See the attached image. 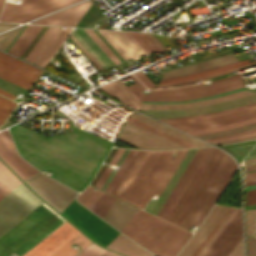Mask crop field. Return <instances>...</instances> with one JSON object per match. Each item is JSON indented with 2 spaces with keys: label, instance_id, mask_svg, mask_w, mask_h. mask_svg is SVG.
Returning a JSON list of instances; mask_svg holds the SVG:
<instances>
[{
  "label": "crop field",
  "instance_id": "obj_19",
  "mask_svg": "<svg viewBox=\"0 0 256 256\" xmlns=\"http://www.w3.org/2000/svg\"><path fill=\"white\" fill-rule=\"evenodd\" d=\"M93 3L88 0L63 11L57 12L45 18H42L33 23L38 24H53V25H67L75 26L84 12L92 5Z\"/></svg>",
  "mask_w": 256,
  "mask_h": 256
},
{
  "label": "crop field",
  "instance_id": "obj_28",
  "mask_svg": "<svg viewBox=\"0 0 256 256\" xmlns=\"http://www.w3.org/2000/svg\"><path fill=\"white\" fill-rule=\"evenodd\" d=\"M255 62L256 61L249 62V59H247V60H243V61H240V62L228 64V65H225V66L217 67V68H214V69L202 71V72L187 75V76H181V77L171 78V79H167V80H162V81H159L157 85L179 82V81H185V80L194 79V78H199V77L215 74V73H218V72H222V71H225V70H229V69H232V68L252 64V63H255Z\"/></svg>",
  "mask_w": 256,
  "mask_h": 256
},
{
  "label": "crop field",
  "instance_id": "obj_54",
  "mask_svg": "<svg viewBox=\"0 0 256 256\" xmlns=\"http://www.w3.org/2000/svg\"><path fill=\"white\" fill-rule=\"evenodd\" d=\"M123 151L124 149L118 148L117 152L115 153L112 160L110 161V164H115V162L117 161V159L119 158V156L122 154Z\"/></svg>",
  "mask_w": 256,
  "mask_h": 256
},
{
  "label": "crop field",
  "instance_id": "obj_40",
  "mask_svg": "<svg viewBox=\"0 0 256 256\" xmlns=\"http://www.w3.org/2000/svg\"><path fill=\"white\" fill-rule=\"evenodd\" d=\"M105 251H107V249L101 248L93 242L76 256H100Z\"/></svg>",
  "mask_w": 256,
  "mask_h": 256
},
{
  "label": "crop field",
  "instance_id": "obj_15",
  "mask_svg": "<svg viewBox=\"0 0 256 256\" xmlns=\"http://www.w3.org/2000/svg\"><path fill=\"white\" fill-rule=\"evenodd\" d=\"M241 232L242 225L239 209L203 256H227L241 238Z\"/></svg>",
  "mask_w": 256,
  "mask_h": 256
},
{
  "label": "crop field",
  "instance_id": "obj_48",
  "mask_svg": "<svg viewBox=\"0 0 256 256\" xmlns=\"http://www.w3.org/2000/svg\"><path fill=\"white\" fill-rule=\"evenodd\" d=\"M256 204V190L246 192V206Z\"/></svg>",
  "mask_w": 256,
  "mask_h": 256
},
{
  "label": "crop field",
  "instance_id": "obj_57",
  "mask_svg": "<svg viewBox=\"0 0 256 256\" xmlns=\"http://www.w3.org/2000/svg\"><path fill=\"white\" fill-rule=\"evenodd\" d=\"M251 139H256V136L247 137V138H242V139L233 140V141L222 142V143H216V144L231 143V142H239V141H245V140H251Z\"/></svg>",
  "mask_w": 256,
  "mask_h": 256
},
{
  "label": "crop field",
  "instance_id": "obj_49",
  "mask_svg": "<svg viewBox=\"0 0 256 256\" xmlns=\"http://www.w3.org/2000/svg\"><path fill=\"white\" fill-rule=\"evenodd\" d=\"M244 89H246V88L244 87V88H240V89H236V90H232V91H228V92H224V93H220V94H215V95H211V96H207V97H202V98L183 100V101H173V102H184V101H191V100L207 99V98H211V97H214V96H218V95H222V94H226V93H231V92H235V91H240V90H244ZM173 102H154V103H173Z\"/></svg>",
  "mask_w": 256,
  "mask_h": 256
},
{
  "label": "crop field",
  "instance_id": "obj_59",
  "mask_svg": "<svg viewBox=\"0 0 256 256\" xmlns=\"http://www.w3.org/2000/svg\"><path fill=\"white\" fill-rule=\"evenodd\" d=\"M102 256H121V255H119V254H117V253H114V252L108 250V251L105 252Z\"/></svg>",
  "mask_w": 256,
  "mask_h": 256
},
{
  "label": "crop field",
  "instance_id": "obj_3",
  "mask_svg": "<svg viewBox=\"0 0 256 256\" xmlns=\"http://www.w3.org/2000/svg\"><path fill=\"white\" fill-rule=\"evenodd\" d=\"M186 231L139 209L121 232L158 256H175L192 234Z\"/></svg>",
  "mask_w": 256,
  "mask_h": 256
},
{
  "label": "crop field",
  "instance_id": "obj_17",
  "mask_svg": "<svg viewBox=\"0 0 256 256\" xmlns=\"http://www.w3.org/2000/svg\"><path fill=\"white\" fill-rule=\"evenodd\" d=\"M98 31L124 60L130 57L133 59H138V55L141 54L147 56V52L137 43L129 32L105 30Z\"/></svg>",
  "mask_w": 256,
  "mask_h": 256
},
{
  "label": "crop field",
  "instance_id": "obj_9",
  "mask_svg": "<svg viewBox=\"0 0 256 256\" xmlns=\"http://www.w3.org/2000/svg\"><path fill=\"white\" fill-rule=\"evenodd\" d=\"M92 242L66 221L24 256H73L78 252L70 247L73 243L82 250Z\"/></svg>",
  "mask_w": 256,
  "mask_h": 256
},
{
  "label": "crop field",
  "instance_id": "obj_13",
  "mask_svg": "<svg viewBox=\"0 0 256 256\" xmlns=\"http://www.w3.org/2000/svg\"><path fill=\"white\" fill-rule=\"evenodd\" d=\"M60 28L49 26L25 60L44 66L72 31V28Z\"/></svg>",
  "mask_w": 256,
  "mask_h": 256
},
{
  "label": "crop field",
  "instance_id": "obj_35",
  "mask_svg": "<svg viewBox=\"0 0 256 256\" xmlns=\"http://www.w3.org/2000/svg\"><path fill=\"white\" fill-rule=\"evenodd\" d=\"M89 36L100 46V48L111 58V60L117 65L121 62L117 56L108 48V46L100 39V37L94 32L93 29H84Z\"/></svg>",
  "mask_w": 256,
  "mask_h": 256
},
{
  "label": "crop field",
  "instance_id": "obj_47",
  "mask_svg": "<svg viewBox=\"0 0 256 256\" xmlns=\"http://www.w3.org/2000/svg\"><path fill=\"white\" fill-rule=\"evenodd\" d=\"M228 256H243L242 238Z\"/></svg>",
  "mask_w": 256,
  "mask_h": 256
},
{
  "label": "crop field",
  "instance_id": "obj_5",
  "mask_svg": "<svg viewBox=\"0 0 256 256\" xmlns=\"http://www.w3.org/2000/svg\"><path fill=\"white\" fill-rule=\"evenodd\" d=\"M42 202L0 162V236Z\"/></svg>",
  "mask_w": 256,
  "mask_h": 256
},
{
  "label": "crop field",
  "instance_id": "obj_31",
  "mask_svg": "<svg viewBox=\"0 0 256 256\" xmlns=\"http://www.w3.org/2000/svg\"><path fill=\"white\" fill-rule=\"evenodd\" d=\"M115 200L116 198L103 193L90 210L102 218L107 210L111 207V205L115 202Z\"/></svg>",
  "mask_w": 256,
  "mask_h": 256
},
{
  "label": "crop field",
  "instance_id": "obj_51",
  "mask_svg": "<svg viewBox=\"0 0 256 256\" xmlns=\"http://www.w3.org/2000/svg\"><path fill=\"white\" fill-rule=\"evenodd\" d=\"M149 39L161 50H165V48L160 44V42L155 38V36L153 34H148V33H145Z\"/></svg>",
  "mask_w": 256,
  "mask_h": 256
},
{
  "label": "crop field",
  "instance_id": "obj_29",
  "mask_svg": "<svg viewBox=\"0 0 256 256\" xmlns=\"http://www.w3.org/2000/svg\"><path fill=\"white\" fill-rule=\"evenodd\" d=\"M41 26L35 25H27L12 47L9 49L8 53L19 57L37 31L40 29Z\"/></svg>",
  "mask_w": 256,
  "mask_h": 256
},
{
  "label": "crop field",
  "instance_id": "obj_26",
  "mask_svg": "<svg viewBox=\"0 0 256 256\" xmlns=\"http://www.w3.org/2000/svg\"><path fill=\"white\" fill-rule=\"evenodd\" d=\"M107 247L119 253L130 256H154L138 244L134 243L133 241L122 235L121 233L114 240H112L107 245Z\"/></svg>",
  "mask_w": 256,
  "mask_h": 256
},
{
  "label": "crop field",
  "instance_id": "obj_69",
  "mask_svg": "<svg viewBox=\"0 0 256 256\" xmlns=\"http://www.w3.org/2000/svg\"><path fill=\"white\" fill-rule=\"evenodd\" d=\"M255 235H256V233H255Z\"/></svg>",
  "mask_w": 256,
  "mask_h": 256
},
{
  "label": "crop field",
  "instance_id": "obj_25",
  "mask_svg": "<svg viewBox=\"0 0 256 256\" xmlns=\"http://www.w3.org/2000/svg\"><path fill=\"white\" fill-rule=\"evenodd\" d=\"M187 149H182V150H176L175 157H171L170 161L166 165L165 169L161 173L160 177L154 184L153 188L149 192L148 196L144 200L143 204L141 205V208H144L146 203L149 201V198L153 193H156L160 195L161 191L165 187L166 183L168 182L169 178L173 174L174 170L178 166L179 162L181 161L182 157L186 153Z\"/></svg>",
  "mask_w": 256,
  "mask_h": 256
},
{
  "label": "crop field",
  "instance_id": "obj_63",
  "mask_svg": "<svg viewBox=\"0 0 256 256\" xmlns=\"http://www.w3.org/2000/svg\"><path fill=\"white\" fill-rule=\"evenodd\" d=\"M251 162H256V159H249L244 161L245 164L251 163Z\"/></svg>",
  "mask_w": 256,
  "mask_h": 256
},
{
  "label": "crop field",
  "instance_id": "obj_2",
  "mask_svg": "<svg viewBox=\"0 0 256 256\" xmlns=\"http://www.w3.org/2000/svg\"><path fill=\"white\" fill-rule=\"evenodd\" d=\"M224 152L198 148L158 216L179 225Z\"/></svg>",
  "mask_w": 256,
  "mask_h": 256
},
{
  "label": "crop field",
  "instance_id": "obj_50",
  "mask_svg": "<svg viewBox=\"0 0 256 256\" xmlns=\"http://www.w3.org/2000/svg\"><path fill=\"white\" fill-rule=\"evenodd\" d=\"M111 168L107 167V169L105 170V172L103 173L102 177L100 178V180L98 181V183L96 184L95 187L99 188L102 186V184L104 183L105 179L107 178V176L109 175V173L111 172Z\"/></svg>",
  "mask_w": 256,
  "mask_h": 256
},
{
  "label": "crop field",
  "instance_id": "obj_21",
  "mask_svg": "<svg viewBox=\"0 0 256 256\" xmlns=\"http://www.w3.org/2000/svg\"><path fill=\"white\" fill-rule=\"evenodd\" d=\"M137 210L138 208L117 199L102 219L121 231Z\"/></svg>",
  "mask_w": 256,
  "mask_h": 256
},
{
  "label": "crop field",
  "instance_id": "obj_34",
  "mask_svg": "<svg viewBox=\"0 0 256 256\" xmlns=\"http://www.w3.org/2000/svg\"><path fill=\"white\" fill-rule=\"evenodd\" d=\"M128 121H130V122H132V123H134V124H136L138 126H141V127L145 128V129H147L149 131H152V132H154V133H156V134H158V135H160L162 137H165V138H167V139H169V140H171L173 142H176V143H178V144H180V145H182V146H184L186 148L195 147V146H193L191 144H188L189 142L186 143V142H184V141H182L180 139H177V138H175V137H173L171 135H168V134H166V133H164V132H162L160 130H157V129L151 127V126H148V125H146V124H144V123H142L140 121H137V120H135V119H133L131 117H129Z\"/></svg>",
  "mask_w": 256,
  "mask_h": 256
},
{
  "label": "crop field",
  "instance_id": "obj_1",
  "mask_svg": "<svg viewBox=\"0 0 256 256\" xmlns=\"http://www.w3.org/2000/svg\"><path fill=\"white\" fill-rule=\"evenodd\" d=\"M16 147L28 162L81 191L102 163L112 142L73 126V132L45 137L19 124L10 128Z\"/></svg>",
  "mask_w": 256,
  "mask_h": 256
},
{
  "label": "crop field",
  "instance_id": "obj_16",
  "mask_svg": "<svg viewBox=\"0 0 256 256\" xmlns=\"http://www.w3.org/2000/svg\"><path fill=\"white\" fill-rule=\"evenodd\" d=\"M0 158L23 180L38 171L17 154L7 130L0 132Z\"/></svg>",
  "mask_w": 256,
  "mask_h": 256
},
{
  "label": "crop field",
  "instance_id": "obj_12",
  "mask_svg": "<svg viewBox=\"0 0 256 256\" xmlns=\"http://www.w3.org/2000/svg\"><path fill=\"white\" fill-rule=\"evenodd\" d=\"M24 182L43 200L58 211H62L77 193L44 176L39 171L24 180Z\"/></svg>",
  "mask_w": 256,
  "mask_h": 256
},
{
  "label": "crop field",
  "instance_id": "obj_55",
  "mask_svg": "<svg viewBox=\"0 0 256 256\" xmlns=\"http://www.w3.org/2000/svg\"><path fill=\"white\" fill-rule=\"evenodd\" d=\"M156 36V38L161 42V44L163 45V46H167V44L169 45V46H171V47H174V45L166 38V37H162L164 40H165V42L167 43H165L164 41H163V39L160 37V36H157V35H155Z\"/></svg>",
  "mask_w": 256,
  "mask_h": 256
},
{
  "label": "crop field",
  "instance_id": "obj_32",
  "mask_svg": "<svg viewBox=\"0 0 256 256\" xmlns=\"http://www.w3.org/2000/svg\"><path fill=\"white\" fill-rule=\"evenodd\" d=\"M254 122H256V117L247 119V120H243V121H239V122H235V123H231V124L208 127V128L192 130V131H187V132L190 134H193V135H197V134H203V133H209V132L219 131V130H223V129L233 128V127H237V126H241V125H245V124H249V123H254Z\"/></svg>",
  "mask_w": 256,
  "mask_h": 256
},
{
  "label": "crop field",
  "instance_id": "obj_58",
  "mask_svg": "<svg viewBox=\"0 0 256 256\" xmlns=\"http://www.w3.org/2000/svg\"><path fill=\"white\" fill-rule=\"evenodd\" d=\"M246 185L256 184V176L245 178Z\"/></svg>",
  "mask_w": 256,
  "mask_h": 256
},
{
  "label": "crop field",
  "instance_id": "obj_22",
  "mask_svg": "<svg viewBox=\"0 0 256 256\" xmlns=\"http://www.w3.org/2000/svg\"><path fill=\"white\" fill-rule=\"evenodd\" d=\"M236 61L237 60L233 57V55L230 54V55L222 56V57H219V58L211 59V60H208V61L200 62V63H197V64H193V65H190V66H186V67H183V68L168 71V72H165V73H161V74L164 75L162 77V79H167V78L181 76V75H187V74L199 72V71H202V70L210 69V68H213V67L225 65V64H228V63L236 62Z\"/></svg>",
  "mask_w": 256,
  "mask_h": 256
},
{
  "label": "crop field",
  "instance_id": "obj_37",
  "mask_svg": "<svg viewBox=\"0 0 256 256\" xmlns=\"http://www.w3.org/2000/svg\"><path fill=\"white\" fill-rule=\"evenodd\" d=\"M234 71H238V68H237V69L230 70V71L222 72V73H219V74H215V75H211V76L199 78V79H194V80H190V81H185V82L200 81V80L212 78V77H215V76H219V75L225 74V73H227V72L230 73V72H234ZM135 75H136L147 87L152 88V89H153V87H158V86H155L141 71L135 73ZM185 82H179V83H185ZM173 84H178V83H173ZM167 85H172V84H167ZM159 86H166V85H159Z\"/></svg>",
  "mask_w": 256,
  "mask_h": 256
},
{
  "label": "crop field",
  "instance_id": "obj_62",
  "mask_svg": "<svg viewBox=\"0 0 256 256\" xmlns=\"http://www.w3.org/2000/svg\"><path fill=\"white\" fill-rule=\"evenodd\" d=\"M254 175H256V172L245 173V177L254 176Z\"/></svg>",
  "mask_w": 256,
  "mask_h": 256
},
{
  "label": "crop field",
  "instance_id": "obj_39",
  "mask_svg": "<svg viewBox=\"0 0 256 256\" xmlns=\"http://www.w3.org/2000/svg\"><path fill=\"white\" fill-rule=\"evenodd\" d=\"M252 128H256V123L245 125V126H241V127H237V128H233V129H228V130H224V131H219V132H214V133H209V134H204V135H198V137L206 139V138H210V137H215V136L235 133V132H239V131H243V130H248V129H252Z\"/></svg>",
  "mask_w": 256,
  "mask_h": 256
},
{
  "label": "crop field",
  "instance_id": "obj_27",
  "mask_svg": "<svg viewBox=\"0 0 256 256\" xmlns=\"http://www.w3.org/2000/svg\"><path fill=\"white\" fill-rule=\"evenodd\" d=\"M131 117H133V118H135L137 120H140V121H142V122H144V123H146L148 125H151V126L157 128V129H160V130H162V131H164V132H166L168 134H171V135H173V136H175L177 138H180V139H182V140H184L186 142H189V143H191V144H193V145H195L197 147L207 146L208 145V144H206V143H204L202 141H199V140L194 141L195 138L190 137V136H188V135H186V134H184L182 132H179V131L171 128V127H168V126H166V125H164V124H162L160 122H157V121H155V120H153V119H151V118H149L147 116H144V115L137 114V113L133 112Z\"/></svg>",
  "mask_w": 256,
  "mask_h": 256
},
{
  "label": "crop field",
  "instance_id": "obj_44",
  "mask_svg": "<svg viewBox=\"0 0 256 256\" xmlns=\"http://www.w3.org/2000/svg\"><path fill=\"white\" fill-rule=\"evenodd\" d=\"M237 208L234 209V211L230 214V216L225 220V222L221 225V227L217 230V232L213 235V237L208 241V243L204 246V248L200 251V253L197 256H202L204 252L208 249V247L211 245V243L215 240V238L219 235V233L222 231V229L226 226V224L230 221V219L233 217V215L237 212Z\"/></svg>",
  "mask_w": 256,
  "mask_h": 256
},
{
  "label": "crop field",
  "instance_id": "obj_43",
  "mask_svg": "<svg viewBox=\"0 0 256 256\" xmlns=\"http://www.w3.org/2000/svg\"><path fill=\"white\" fill-rule=\"evenodd\" d=\"M233 207H230L229 210L225 213V215L221 218L218 224L214 227V229L210 232V234L206 237V239L202 242V244L198 247V249L194 252L192 256H196L199 251L203 248V246L207 243V241L212 237V235L216 232V230L220 227V225L224 222V220L229 216V214L233 211Z\"/></svg>",
  "mask_w": 256,
  "mask_h": 256
},
{
  "label": "crop field",
  "instance_id": "obj_36",
  "mask_svg": "<svg viewBox=\"0 0 256 256\" xmlns=\"http://www.w3.org/2000/svg\"><path fill=\"white\" fill-rule=\"evenodd\" d=\"M135 152H136V150H131L130 149V151L127 154L126 158L124 159V161L122 162L121 166L119 167V169L115 173L114 177L112 178V180L108 184L107 188L105 189V192L110 193V191L112 190L113 186L115 185V183L119 179L120 175L122 174V172L126 168L127 164L129 163V161L131 160V158L133 157Z\"/></svg>",
  "mask_w": 256,
  "mask_h": 256
},
{
  "label": "crop field",
  "instance_id": "obj_18",
  "mask_svg": "<svg viewBox=\"0 0 256 256\" xmlns=\"http://www.w3.org/2000/svg\"><path fill=\"white\" fill-rule=\"evenodd\" d=\"M229 207L214 205L196 233L177 256H191Z\"/></svg>",
  "mask_w": 256,
  "mask_h": 256
},
{
  "label": "crop field",
  "instance_id": "obj_56",
  "mask_svg": "<svg viewBox=\"0 0 256 256\" xmlns=\"http://www.w3.org/2000/svg\"><path fill=\"white\" fill-rule=\"evenodd\" d=\"M18 24H3V23H0V32L1 31H4V30H7L9 28H12L14 26H17Z\"/></svg>",
  "mask_w": 256,
  "mask_h": 256
},
{
  "label": "crop field",
  "instance_id": "obj_33",
  "mask_svg": "<svg viewBox=\"0 0 256 256\" xmlns=\"http://www.w3.org/2000/svg\"><path fill=\"white\" fill-rule=\"evenodd\" d=\"M92 189L93 187L88 186L77 198V200L80 203H82L84 206H86L89 209L102 193L99 190L94 191Z\"/></svg>",
  "mask_w": 256,
  "mask_h": 256
},
{
  "label": "crop field",
  "instance_id": "obj_6",
  "mask_svg": "<svg viewBox=\"0 0 256 256\" xmlns=\"http://www.w3.org/2000/svg\"><path fill=\"white\" fill-rule=\"evenodd\" d=\"M236 166V162L224 153L179 226L189 230L192 224L199 225L229 181Z\"/></svg>",
  "mask_w": 256,
  "mask_h": 256
},
{
  "label": "crop field",
  "instance_id": "obj_53",
  "mask_svg": "<svg viewBox=\"0 0 256 256\" xmlns=\"http://www.w3.org/2000/svg\"><path fill=\"white\" fill-rule=\"evenodd\" d=\"M252 135H256V132L250 133V134H245V135H240V136H236V137L226 138V139H220V140L210 141V142L215 143V142L233 140V139H238V138L247 137V136H252Z\"/></svg>",
  "mask_w": 256,
  "mask_h": 256
},
{
  "label": "crop field",
  "instance_id": "obj_14",
  "mask_svg": "<svg viewBox=\"0 0 256 256\" xmlns=\"http://www.w3.org/2000/svg\"><path fill=\"white\" fill-rule=\"evenodd\" d=\"M118 139L143 149H182L184 147L162 138L152 132L126 122Z\"/></svg>",
  "mask_w": 256,
  "mask_h": 256
},
{
  "label": "crop field",
  "instance_id": "obj_64",
  "mask_svg": "<svg viewBox=\"0 0 256 256\" xmlns=\"http://www.w3.org/2000/svg\"><path fill=\"white\" fill-rule=\"evenodd\" d=\"M229 75H230V74L222 75V76H219V77L212 78L211 80L218 79V78H222V77H226V76H229Z\"/></svg>",
  "mask_w": 256,
  "mask_h": 256
},
{
  "label": "crop field",
  "instance_id": "obj_4",
  "mask_svg": "<svg viewBox=\"0 0 256 256\" xmlns=\"http://www.w3.org/2000/svg\"><path fill=\"white\" fill-rule=\"evenodd\" d=\"M62 222L40 204L0 237V256H21Z\"/></svg>",
  "mask_w": 256,
  "mask_h": 256
},
{
  "label": "crop field",
  "instance_id": "obj_20",
  "mask_svg": "<svg viewBox=\"0 0 256 256\" xmlns=\"http://www.w3.org/2000/svg\"><path fill=\"white\" fill-rule=\"evenodd\" d=\"M149 153L150 151L137 150L134 157L132 158L127 168L125 169L120 179L111 191V194L122 199L123 195L127 191L128 187L130 186L131 182L138 173Z\"/></svg>",
  "mask_w": 256,
  "mask_h": 256
},
{
  "label": "crop field",
  "instance_id": "obj_66",
  "mask_svg": "<svg viewBox=\"0 0 256 256\" xmlns=\"http://www.w3.org/2000/svg\"><path fill=\"white\" fill-rule=\"evenodd\" d=\"M246 208H248V209H255V208H256V205L248 206V207H246Z\"/></svg>",
  "mask_w": 256,
  "mask_h": 256
},
{
  "label": "crop field",
  "instance_id": "obj_38",
  "mask_svg": "<svg viewBox=\"0 0 256 256\" xmlns=\"http://www.w3.org/2000/svg\"><path fill=\"white\" fill-rule=\"evenodd\" d=\"M134 38L143 46V48L148 52L160 51L144 33L130 32Z\"/></svg>",
  "mask_w": 256,
  "mask_h": 256
},
{
  "label": "crop field",
  "instance_id": "obj_42",
  "mask_svg": "<svg viewBox=\"0 0 256 256\" xmlns=\"http://www.w3.org/2000/svg\"><path fill=\"white\" fill-rule=\"evenodd\" d=\"M17 27L13 30H10L8 32H5L3 34H0V48L5 50V48L8 46V44L11 42V40L13 39V37L16 35V33L19 31V29L21 28Z\"/></svg>",
  "mask_w": 256,
  "mask_h": 256
},
{
  "label": "crop field",
  "instance_id": "obj_67",
  "mask_svg": "<svg viewBox=\"0 0 256 256\" xmlns=\"http://www.w3.org/2000/svg\"><path fill=\"white\" fill-rule=\"evenodd\" d=\"M249 158H256V155L255 156L246 157L245 159H249Z\"/></svg>",
  "mask_w": 256,
  "mask_h": 256
},
{
  "label": "crop field",
  "instance_id": "obj_30",
  "mask_svg": "<svg viewBox=\"0 0 256 256\" xmlns=\"http://www.w3.org/2000/svg\"><path fill=\"white\" fill-rule=\"evenodd\" d=\"M106 94L112 96L113 98L133 107L136 109L138 106L123 90L122 88L114 81L112 83L103 85L99 87Z\"/></svg>",
  "mask_w": 256,
  "mask_h": 256
},
{
  "label": "crop field",
  "instance_id": "obj_24",
  "mask_svg": "<svg viewBox=\"0 0 256 256\" xmlns=\"http://www.w3.org/2000/svg\"><path fill=\"white\" fill-rule=\"evenodd\" d=\"M77 40L88 50V52L99 62L104 70L114 67L115 65L103 53V51L94 43L83 29L76 28L72 33Z\"/></svg>",
  "mask_w": 256,
  "mask_h": 256
},
{
  "label": "crop field",
  "instance_id": "obj_23",
  "mask_svg": "<svg viewBox=\"0 0 256 256\" xmlns=\"http://www.w3.org/2000/svg\"><path fill=\"white\" fill-rule=\"evenodd\" d=\"M122 88L133 98V100L139 105V107H152V108H174V107H185V106H192V105H198V104H204V103H209L213 101H218V100H224L228 98H233L245 94H249L252 92H256L255 90L249 92L247 90L240 91V92H235L231 94H226L218 97H214L211 99L207 100H200V101H191V102H184V103H174V104H153V103H140V101L135 97V95L124 85V83L118 79L116 80Z\"/></svg>",
  "mask_w": 256,
  "mask_h": 256
},
{
  "label": "crop field",
  "instance_id": "obj_65",
  "mask_svg": "<svg viewBox=\"0 0 256 256\" xmlns=\"http://www.w3.org/2000/svg\"><path fill=\"white\" fill-rule=\"evenodd\" d=\"M253 130H256V129H253ZM253 130H249V131H253ZM249 131H245V132H249ZM245 132H241V133H245ZM237 134H240V133H237ZM233 135H236V134H233ZM229 136H231V135H229ZM223 137H225V136H223ZM218 138H220V137H218ZM212 139H214V138H212ZM206 140H208V139H206Z\"/></svg>",
  "mask_w": 256,
  "mask_h": 256
},
{
  "label": "crop field",
  "instance_id": "obj_70",
  "mask_svg": "<svg viewBox=\"0 0 256 256\" xmlns=\"http://www.w3.org/2000/svg\"><path fill=\"white\" fill-rule=\"evenodd\" d=\"M256 81V80H255Z\"/></svg>",
  "mask_w": 256,
  "mask_h": 256
},
{
  "label": "crop field",
  "instance_id": "obj_41",
  "mask_svg": "<svg viewBox=\"0 0 256 256\" xmlns=\"http://www.w3.org/2000/svg\"><path fill=\"white\" fill-rule=\"evenodd\" d=\"M254 215H256V210H245L247 235H250V236L253 235L256 229V223L254 222Z\"/></svg>",
  "mask_w": 256,
  "mask_h": 256
},
{
  "label": "crop field",
  "instance_id": "obj_52",
  "mask_svg": "<svg viewBox=\"0 0 256 256\" xmlns=\"http://www.w3.org/2000/svg\"><path fill=\"white\" fill-rule=\"evenodd\" d=\"M252 94H255V93H252ZM249 95H251V94H249ZM245 96H247V95H245ZM241 97H243V96H241ZM237 98H239V97H237ZM233 99H235V98H233ZM229 100H231V99H229ZM224 101H228V100H224ZM224 101H219V102H214V103H220V102H224ZM214 103H210V104H214ZM205 105H208V104H205ZM199 106H203V105H199ZM192 107H198V106H192ZM192 107H185V108H174V109H152V108H137V109H152V110H175V109H186V108H192Z\"/></svg>",
  "mask_w": 256,
  "mask_h": 256
},
{
  "label": "crop field",
  "instance_id": "obj_60",
  "mask_svg": "<svg viewBox=\"0 0 256 256\" xmlns=\"http://www.w3.org/2000/svg\"><path fill=\"white\" fill-rule=\"evenodd\" d=\"M256 169V165L245 166V171Z\"/></svg>",
  "mask_w": 256,
  "mask_h": 256
},
{
  "label": "crop field",
  "instance_id": "obj_68",
  "mask_svg": "<svg viewBox=\"0 0 256 256\" xmlns=\"http://www.w3.org/2000/svg\"><path fill=\"white\" fill-rule=\"evenodd\" d=\"M253 144H256V143H253ZM247 145H252V144H247ZM242 146H246V145H242ZM237 147H240V146H237ZM234 148V147H233Z\"/></svg>",
  "mask_w": 256,
  "mask_h": 256
},
{
  "label": "crop field",
  "instance_id": "obj_7",
  "mask_svg": "<svg viewBox=\"0 0 256 256\" xmlns=\"http://www.w3.org/2000/svg\"><path fill=\"white\" fill-rule=\"evenodd\" d=\"M239 75V74H238ZM136 83L129 86L131 91L138 97L140 101H172V100H183L201 96H207L239 87H243L242 80L240 75L237 77L229 78L226 80L214 82L213 84L204 86L203 83L196 84L187 87L181 88H171V89H160V90H150L151 93L145 95L141 90L145 89V87L138 82L132 75H129Z\"/></svg>",
  "mask_w": 256,
  "mask_h": 256
},
{
  "label": "crop field",
  "instance_id": "obj_46",
  "mask_svg": "<svg viewBox=\"0 0 256 256\" xmlns=\"http://www.w3.org/2000/svg\"><path fill=\"white\" fill-rule=\"evenodd\" d=\"M70 38L74 41V43L85 53V55L92 61V63L98 68L101 69V67L98 65V63L90 56V54L83 48V46L75 39V37L71 34Z\"/></svg>",
  "mask_w": 256,
  "mask_h": 256
},
{
  "label": "crop field",
  "instance_id": "obj_10",
  "mask_svg": "<svg viewBox=\"0 0 256 256\" xmlns=\"http://www.w3.org/2000/svg\"><path fill=\"white\" fill-rule=\"evenodd\" d=\"M172 154L173 151H151L123 200L140 207Z\"/></svg>",
  "mask_w": 256,
  "mask_h": 256
},
{
  "label": "crop field",
  "instance_id": "obj_8",
  "mask_svg": "<svg viewBox=\"0 0 256 256\" xmlns=\"http://www.w3.org/2000/svg\"><path fill=\"white\" fill-rule=\"evenodd\" d=\"M42 72L41 69L0 52V77L27 90ZM0 94L14 100L15 96L0 89ZM16 103L0 95V125L5 122Z\"/></svg>",
  "mask_w": 256,
  "mask_h": 256
},
{
  "label": "crop field",
  "instance_id": "obj_11",
  "mask_svg": "<svg viewBox=\"0 0 256 256\" xmlns=\"http://www.w3.org/2000/svg\"><path fill=\"white\" fill-rule=\"evenodd\" d=\"M79 0H22L21 5L6 3L0 21L25 22ZM3 0H0V10Z\"/></svg>",
  "mask_w": 256,
  "mask_h": 256
},
{
  "label": "crop field",
  "instance_id": "obj_61",
  "mask_svg": "<svg viewBox=\"0 0 256 256\" xmlns=\"http://www.w3.org/2000/svg\"><path fill=\"white\" fill-rule=\"evenodd\" d=\"M256 189V185L246 186V191Z\"/></svg>",
  "mask_w": 256,
  "mask_h": 256
},
{
  "label": "crop field",
  "instance_id": "obj_45",
  "mask_svg": "<svg viewBox=\"0 0 256 256\" xmlns=\"http://www.w3.org/2000/svg\"><path fill=\"white\" fill-rule=\"evenodd\" d=\"M248 256H256V238L247 237Z\"/></svg>",
  "mask_w": 256,
  "mask_h": 256
}]
</instances>
